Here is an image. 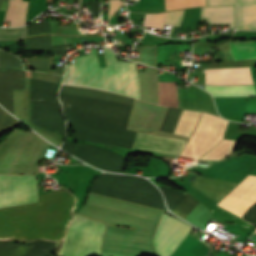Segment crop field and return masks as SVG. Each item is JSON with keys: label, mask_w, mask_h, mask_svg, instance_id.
Masks as SVG:
<instances>
[{"label": "crop field", "mask_w": 256, "mask_h": 256, "mask_svg": "<svg viewBox=\"0 0 256 256\" xmlns=\"http://www.w3.org/2000/svg\"><path fill=\"white\" fill-rule=\"evenodd\" d=\"M72 138L131 148L135 133L125 130L132 105L59 92Z\"/></svg>", "instance_id": "8a807250"}, {"label": "crop field", "mask_w": 256, "mask_h": 256, "mask_svg": "<svg viewBox=\"0 0 256 256\" xmlns=\"http://www.w3.org/2000/svg\"><path fill=\"white\" fill-rule=\"evenodd\" d=\"M74 202L65 190L39 195V203L0 210V241H59L72 218Z\"/></svg>", "instance_id": "ac0d7876"}, {"label": "crop field", "mask_w": 256, "mask_h": 256, "mask_svg": "<svg viewBox=\"0 0 256 256\" xmlns=\"http://www.w3.org/2000/svg\"><path fill=\"white\" fill-rule=\"evenodd\" d=\"M107 67L99 68L95 49L67 64L63 83L95 88L139 99V85L134 64L116 62L115 54L103 48Z\"/></svg>", "instance_id": "34b2d1b8"}, {"label": "crop field", "mask_w": 256, "mask_h": 256, "mask_svg": "<svg viewBox=\"0 0 256 256\" xmlns=\"http://www.w3.org/2000/svg\"><path fill=\"white\" fill-rule=\"evenodd\" d=\"M90 192L166 210L159 191L143 178L103 173Z\"/></svg>", "instance_id": "412701ff"}, {"label": "crop field", "mask_w": 256, "mask_h": 256, "mask_svg": "<svg viewBox=\"0 0 256 256\" xmlns=\"http://www.w3.org/2000/svg\"><path fill=\"white\" fill-rule=\"evenodd\" d=\"M59 85L31 79L32 123L64 137L65 120L56 97Z\"/></svg>", "instance_id": "f4fd0767"}, {"label": "crop field", "mask_w": 256, "mask_h": 256, "mask_svg": "<svg viewBox=\"0 0 256 256\" xmlns=\"http://www.w3.org/2000/svg\"><path fill=\"white\" fill-rule=\"evenodd\" d=\"M105 224L75 214L68 229L60 256L99 255Z\"/></svg>", "instance_id": "dd49c442"}, {"label": "crop field", "mask_w": 256, "mask_h": 256, "mask_svg": "<svg viewBox=\"0 0 256 256\" xmlns=\"http://www.w3.org/2000/svg\"><path fill=\"white\" fill-rule=\"evenodd\" d=\"M36 201L38 200L35 175H0V208Z\"/></svg>", "instance_id": "e52e79f7"}, {"label": "crop field", "mask_w": 256, "mask_h": 256, "mask_svg": "<svg viewBox=\"0 0 256 256\" xmlns=\"http://www.w3.org/2000/svg\"><path fill=\"white\" fill-rule=\"evenodd\" d=\"M61 149L103 170L123 173L126 157L87 144L66 141Z\"/></svg>", "instance_id": "d8731c3e"}, {"label": "crop field", "mask_w": 256, "mask_h": 256, "mask_svg": "<svg viewBox=\"0 0 256 256\" xmlns=\"http://www.w3.org/2000/svg\"><path fill=\"white\" fill-rule=\"evenodd\" d=\"M191 228L185 223L164 213L153 243L157 255L169 256Z\"/></svg>", "instance_id": "5a996713"}, {"label": "crop field", "mask_w": 256, "mask_h": 256, "mask_svg": "<svg viewBox=\"0 0 256 256\" xmlns=\"http://www.w3.org/2000/svg\"><path fill=\"white\" fill-rule=\"evenodd\" d=\"M185 142V140L137 132L132 148L178 156Z\"/></svg>", "instance_id": "3316defc"}, {"label": "crop field", "mask_w": 256, "mask_h": 256, "mask_svg": "<svg viewBox=\"0 0 256 256\" xmlns=\"http://www.w3.org/2000/svg\"><path fill=\"white\" fill-rule=\"evenodd\" d=\"M205 84H254L249 67L205 70Z\"/></svg>", "instance_id": "28ad6ade"}, {"label": "crop field", "mask_w": 256, "mask_h": 256, "mask_svg": "<svg viewBox=\"0 0 256 256\" xmlns=\"http://www.w3.org/2000/svg\"><path fill=\"white\" fill-rule=\"evenodd\" d=\"M26 71L0 69V104L14 114L11 89H24Z\"/></svg>", "instance_id": "d1516ede"}, {"label": "crop field", "mask_w": 256, "mask_h": 256, "mask_svg": "<svg viewBox=\"0 0 256 256\" xmlns=\"http://www.w3.org/2000/svg\"><path fill=\"white\" fill-rule=\"evenodd\" d=\"M56 242L38 241L35 244L0 242V256H50Z\"/></svg>", "instance_id": "22f410ed"}, {"label": "crop field", "mask_w": 256, "mask_h": 256, "mask_svg": "<svg viewBox=\"0 0 256 256\" xmlns=\"http://www.w3.org/2000/svg\"><path fill=\"white\" fill-rule=\"evenodd\" d=\"M236 185V183L195 175L190 186L202 192L217 203Z\"/></svg>", "instance_id": "cbeb9de0"}, {"label": "crop field", "mask_w": 256, "mask_h": 256, "mask_svg": "<svg viewBox=\"0 0 256 256\" xmlns=\"http://www.w3.org/2000/svg\"><path fill=\"white\" fill-rule=\"evenodd\" d=\"M201 18H207L208 25L230 24V29L236 25V7H203L201 8Z\"/></svg>", "instance_id": "5142ce71"}, {"label": "crop field", "mask_w": 256, "mask_h": 256, "mask_svg": "<svg viewBox=\"0 0 256 256\" xmlns=\"http://www.w3.org/2000/svg\"><path fill=\"white\" fill-rule=\"evenodd\" d=\"M238 29H256V0H237Z\"/></svg>", "instance_id": "d9b57169"}, {"label": "crop field", "mask_w": 256, "mask_h": 256, "mask_svg": "<svg viewBox=\"0 0 256 256\" xmlns=\"http://www.w3.org/2000/svg\"><path fill=\"white\" fill-rule=\"evenodd\" d=\"M60 91L84 95V96L96 97V98H101V99L119 101V102H124V103H130V104H132L134 101V99L128 98L125 96H120V95H116V94H112V93H107V92H103V91H99V90L82 88V87L62 85Z\"/></svg>", "instance_id": "733c2abd"}, {"label": "crop field", "mask_w": 256, "mask_h": 256, "mask_svg": "<svg viewBox=\"0 0 256 256\" xmlns=\"http://www.w3.org/2000/svg\"><path fill=\"white\" fill-rule=\"evenodd\" d=\"M213 96H256L254 86H212L205 85Z\"/></svg>", "instance_id": "4a817a6b"}, {"label": "crop field", "mask_w": 256, "mask_h": 256, "mask_svg": "<svg viewBox=\"0 0 256 256\" xmlns=\"http://www.w3.org/2000/svg\"><path fill=\"white\" fill-rule=\"evenodd\" d=\"M27 2L21 0H9L5 21L9 26H22L25 24Z\"/></svg>", "instance_id": "bc2a9ffb"}, {"label": "crop field", "mask_w": 256, "mask_h": 256, "mask_svg": "<svg viewBox=\"0 0 256 256\" xmlns=\"http://www.w3.org/2000/svg\"><path fill=\"white\" fill-rule=\"evenodd\" d=\"M26 49L53 50L54 55L65 54L68 45L51 47V36L34 37L24 40Z\"/></svg>", "instance_id": "214f88e0"}, {"label": "crop field", "mask_w": 256, "mask_h": 256, "mask_svg": "<svg viewBox=\"0 0 256 256\" xmlns=\"http://www.w3.org/2000/svg\"><path fill=\"white\" fill-rule=\"evenodd\" d=\"M203 246L200 240L187 235L171 256H195Z\"/></svg>", "instance_id": "92a150f3"}, {"label": "crop field", "mask_w": 256, "mask_h": 256, "mask_svg": "<svg viewBox=\"0 0 256 256\" xmlns=\"http://www.w3.org/2000/svg\"><path fill=\"white\" fill-rule=\"evenodd\" d=\"M30 68L36 71L63 74L64 67H53L52 57L26 58Z\"/></svg>", "instance_id": "dafd665d"}, {"label": "crop field", "mask_w": 256, "mask_h": 256, "mask_svg": "<svg viewBox=\"0 0 256 256\" xmlns=\"http://www.w3.org/2000/svg\"><path fill=\"white\" fill-rule=\"evenodd\" d=\"M234 60L256 58V43H230Z\"/></svg>", "instance_id": "00972430"}, {"label": "crop field", "mask_w": 256, "mask_h": 256, "mask_svg": "<svg viewBox=\"0 0 256 256\" xmlns=\"http://www.w3.org/2000/svg\"><path fill=\"white\" fill-rule=\"evenodd\" d=\"M182 110L169 108L160 130L172 133Z\"/></svg>", "instance_id": "a9b5d70f"}, {"label": "crop field", "mask_w": 256, "mask_h": 256, "mask_svg": "<svg viewBox=\"0 0 256 256\" xmlns=\"http://www.w3.org/2000/svg\"><path fill=\"white\" fill-rule=\"evenodd\" d=\"M165 9L188 8L205 5V0H164Z\"/></svg>", "instance_id": "4177f3b9"}, {"label": "crop field", "mask_w": 256, "mask_h": 256, "mask_svg": "<svg viewBox=\"0 0 256 256\" xmlns=\"http://www.w3.org/2000/svg\"><path fill=\"white\" fill-rule=\"evenodd\" d=\"M165 197L169 209L172 211L188 193H176L163 186L159 187Z\"/></svg>", "instance_id": "730fd06b"}, {"label": "crop field", "mask_w": 256, "mask_h": 256, "mask_svg": "<svg viewBox=\"0 0 256 256\" xmlns=\"http://www.w3.org/2000/svg\"><path fill=\"white\" fill-rule=\"evenodd\" d=\"M25 37H27L26 27L17 29H0V40H20Z\"/></svg>", "instance_id": "eef30255"}, {"label": "crop field", "mask_w": 256, "mask_h": 256, "mask_svg": "<svg viewBox=\"0 0 256 256\" xmlns=\"http://www.w3.org/2000/svg\"><path fill=\"white\" fill-rule=\"evenodd\" d=\"M167 13L146 14L143 26L162 29Z\"/></svg>", "instance_id": "ae1a2a85"}, {"label": "crop field", "mask_w": 256, "mask_h": 256, "mask_svg": "<svg viewBox=\"0 0 256 256\" xmlns=\"http://www.w3.org/2000/svg\"><path fill=\"white\" fill-rule=\"evenodd\" d=\"M2 67L22 69V63L13 55L0 51V68Z\"/></svg>", "instance_id": "d3111659"}, {"label": "crop field", "mask_w": 256, "mask_h": 256, "mask_svg": "<svg viewBox=\"0 0 256 256\" xmlns=\"http://www.w3.org/2000/svg\"><path fill=\"white\" fill-rule=\"evenodd\" d=\"M19 123L20 122H18L16 119L11 117L0 108V132L3 130H7L15 125H18Z\"/></svg>", "instance_id": "750c4746"}, {"label": "crop field", "mask_w": 256, "mask_h": 256, "mask_svg": "<svg viewBox=\"0 0 256 256\" xmlns=\"http://www.w3.org/2000/svg\"><path fill=\"white\" fill-rule=\"evenodd\" d=\"M28 36L40 33H51L50 21L37 23L27 27Z\"/></svg>", "instance_id": "bd1437ed"}, {"label": "crop field", "mask_w": 256, "mask_h": 256, "mask_svg": "<svg viewBox=\"0 0 256 256\" xmlns=\"http://www.w3.org/2000/svg\"><path fill=\"white\" fill-rule=\"evenodd\" d=\"M31 75L33 78L46 80V81H50V82H54V83H58V84L61 83V80L63 78V76L34 72V71H31Z\"/></svg>", "instance_id": "1d83c4d3"}, {"label": "crop field", "mask_w": 256, "mask_h": 256, "mask_svg": "<svg viewBox=\"0 0 256 256\" xmlns=\"http://www.w3.org/2000/svg\"><path fill=\"white\" fill-rule=\"evenodd\" d=\"M183 12H184V10H177V11L169 12L165 24L179 26Z\"/></svg>", "instance_id": "120bbe31"}, {"label": "crop field", "mask_w": 256, "mask_h": 256, "mask_svg": "<svg viewBox=\"0 0 256 256\" xmlns=\"http://www.w3.org/2000/svg\"><path fill=\"white\" fill-rule=\"evenodd\" d=\"M123 4L121 0H108V19L120 8Z\"/></svg>", "instance_id": "d32e631a"}, {"label": "crop field", "mask_w": 256, "mask_h": 256, "mask_svg": "<svg viewBox=\"0 0 256 256\" xmlns=\"http://www.w3.org/2000/svg\"><path fill=\"white\" fill-rule=\"evenodd\" d=\"M99 2H100L99 0L90 1V2L84 3L83 5L90 4L93 17H99Z\"/></svg>", "instance_id": "5866460e"}, {"label": "crop field", "mask_w": 256, "mask_h": 256, "mask_svg": "<svg viewBox=\"0 0 256 256\" xmlns=\"http://www.w3.org/2000/svg\"><path fill=\"white\" fill-rule=\"evenodd\" d=\"M207 5L235 4L234 0H206Z\"/></svg>", "instance_id": "028f5c9d"}, {"label": "crop field", "mask_w": 256, "mask_h": 256, "mask_svg": "<svg viewBox=\"0 0 256 256\" xmlns=\"http://www.w3.org/2000/svg\"><path fill=\"white\" fill-rule=\"evenodd\" d=\"M81 1H90V0H81Z\"/></svg>", "instance_id": "e1f06a70"}]
</instances>
